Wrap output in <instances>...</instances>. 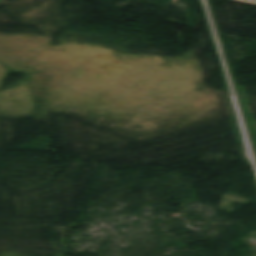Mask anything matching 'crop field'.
Returning a JSON list of instances; mask_svg holds the SVG:
<instances>
[{
  "instance_id": "8a807250",
  "label": "crop field",
  "mask_w": 256,
  "mask_h": 256,
  "mask_svg": "<svg viewBox=\"0 0 256 256\" xmlns=\"http://www.w3.org/2000/svg\"><path fill=\"white\" fill-rule=\"evenodd\" d=\"M233 1H237V2H241V3H245V4H250V5L256 6V0H233Z\"/></svg>"
},
{
  "instance_id": "ac0d7876",
  "label": "crop field",
  "mask_w": 256,
  "mask_h": 256,
  "mask_svg": "<svg viewBox=\"0 0 256 256\" xmlns=\"http://www.w3.org/2000/svg\"><path fill=\"white\" fill-rule=\"evenodd\" d=\"M5 0H0V2H4Z\"/></svg>"
}]
</instances>
